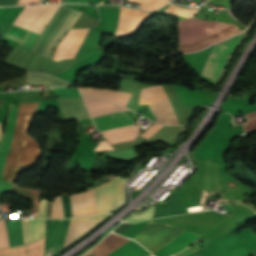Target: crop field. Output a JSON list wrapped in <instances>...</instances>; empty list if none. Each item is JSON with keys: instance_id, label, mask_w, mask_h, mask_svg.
Listing matches in <instances>:
<instances>
[{"instance_id": "obj_1", "label": "crop field", "mask_w": 256, "mask_h": 256, "mask_svg": "<svg viewBox=\"0 0 256 256\" xmlns=\"http://www.w3.org/2000/svg\"><path fill=\"white\" fill-rule=\"evenodd\" d=\"M37 105L38 103H21L19 106L14 138L2 181L14 183L22 171L34 166L41 157L38 144L26 134L28 122Z\"/></svg>"}, {"instance_id": "obj_2", "label": "crop field", "mask_w": 256, "mask_h": 256, "mask_svg": "<svg viewBox=\"0 0 256 256\" xmlns=\"http://www.w3.org/2000/svg\"><path fill=\"white\" fill-rule=\"evenodd\" d=\"M92 118L120 111H128L127 109L106 101L93 99L82 96ZM99 131L132 125L134 124L130 116L125 112L115 113L93 119ZM139 133V127L134 125L102 131L103 137L112 145L119 142L134 140Z\"/></svg>"}, {"instance_id": "obj_3", "label": "crop field", "mask_w": 256, "mask_h": 256, "mask_svg": "<svg viewBox=\"0 0 256 256\" xmlns=\"http://www.w3.org/2000/svg\"><path fill=\"white\" fill-rule=\"evenodd\" d=\"M70 11L71 9H68L63 6L60 7V9L56 12V14L52 17V19L48 22V24L45 26V28L41 32L32 51L40 55L42 54L44 46L52 37V35L55 33V31L58 29V27L61 25V23L64 21V19L67 17V15L70 13ZM78 14L79 12L72 10V12L63 22V24L60 26V28L57 30V32L54 34V36L50 39V41L45 46L44 52L42 54L43 56L49 59L51 58V52L53 47L64 36V34L72 25V23L76 20ZM93 19L94 18L81 12L77 20L71 26V28L90 27Z\"/></svg>"}, {"instance_id": "obj_4", "label": "crop field", "mask_w": 256, "mask_h": 256, "mask_svg": "<svg viewBox=\"0 0 256 256\" xmlns=\"http://www.w3.org/2000/svg\"><path fill=\"white\" fill-rule=\"evenodd\" d=\"M61 5L27 6L14 21V25L31 31L23 46L32 49L38 35Z\"/></svg>"}, {"instance_id": "obj_5", "label": "crop field", "mask_w": 256, "mask_h": 256, "mask_svg": "<svg viewBox=\"0 0 256 256\" xmlns=\"http://www.w3.org/2000/svg\"><path fill=\"white\" fill-rule=\"evenodd\" d=\"M246 33L247 32H244L240 35L229 38L222 43L216 44L200 75L216 84L221 77L232 52Z\"/></svg>"}, {"instance_id": "obj_6", "label": "crop field", "mask_w": 256, "mask_h": 256, "mask_svg": "<svg viewBox=\"0 0 256 256\" xmlns=\"http://www.w3.org/2000/svg\"><path fill=\"white\" fill-rule=\"evenodd\" d=\"M183 231L184 229L150 221L133 239L141 243L153 254Z\"/></svg>"}, {"instance_id": "obj_7", "label": "crop field", "mask_w": 256, "mask_h": 256, "mask_svg": "<svg viewBox=\"0 0 256 256\" xmlns=\"http://www.w3.org/2000/svg\"><path fill=\"white\" fill-rule=\"evenodd\" d=\"M158 102H170L163 86L149 87L141 90L140 104ZM149 106L155 121L161 124H177L170 103L151 104Z\"/></svg>"}, {"instance_id": "obj_8", "label": "crop field", "mask_w": 256, "mask_h": 256, "mask_svg": "<svg viewBox=\"0 0 256 256\" xmlns=\"http://www.w3.org/2000/svg\"><path fill=\"white\" fill-rule=\"evenodd\" d=\"M125 178L116 176L108 183L94 188L96 214L109 213L124 202L123 184Z\"/></svg>"}, {"instance_id": "obj_9", "label": "crop field", "mask_w": 256, "mask_h": 256, "mask_svg": "<svg viewBox=\"0 0 256 256\" xmlns=\"http://www.w3.org/2000/svg\"><path fill=\"white\" fill-rule=\"evenodd\" d=\"M69 220H46L45 256H53L63 249Z\"/></svg>"}, {"instance_id": "obj_10", "label": "crop field", "mask_w": 256, "mask_h": 256, "mask_svg": "<svg viewBox=\"0 0 256 256\" xmlns=\"http://www.w3.org/2000/svg\"><path fill=\"white\" fill-rule=\"evenodd\" d=\"M90 29L69 30L63 40L57 45L53 60L75 58Z\"/></svg>"}, {"instance_id": "obj_11", "label": "crop field", "mask_w": 256, "mask_h": 256, "mask_svg": "<svg viewBox=\"0 0 256 256\" xmlns=\"http://www.w3.org/2000/svg\"><path fill=\"white\" fill-rule=\"evenodd\" d=\"M201 238H202V236H199L193 232L186 230L153 255H155V256H174V255L182 252L183 250L187 249L194 242L200 240Z\"/></svg>"}, {"instance_id": "obj_12", "label": "crop field", "mask_w": 256, "mask_h": 256, "mask_svg": "<svg viewBox=\"0 0 256 256\" xmlns=\"http://www.w3.org/2000/svg\"><path fill=\"white\" fill-rule=\"evenodd\" d=\"M149 13L121 7L115 35H129Z\"/></svg>"}, {"instance_id": "obj_13", "label": "crop field", "mask_w": 256, "mask_h": 256, "mask_svg": "<svg viewBox=\"0 0 256 256\" xmlns=\"http://www.w3.org/2000/svg\"><path fill=\"white\" fill-rule=\"evenodd\" d=\"M70 200L72 217L95 215L94 190L71 195Z\"/></svg>"}, {"instance_id": "obj_14", "label": "crop field", "mask_w": 256, "mask_h": 256, "mask_svg": "<svg viewBox=\"0 0 256 256\" xmlns=\"http://www.w3.org/2000/svg\"><path fill=\"white\" fill-rule=\"evenodd\" d=\"M107 216L108 215H99L91 218L71 219L64 247L88 232Z\"/></svg>"}, {"instance_id": "obj_15", "label": "crop field", "mask_w": 256, "mask_h": 256, "mask_svg": "<svg viewBox=\"0 0 256 256\" xmlns=\"http://www.w3.org/2000/svg\"><path fill=\"white\" fill-rule=\"evenodd\" d=\"M17 110H18V107L14 106L12 104L10 105V110H9V115H8V124L5 129V133L2 138L1 145H0V184H1V179H2L4 160L9 151L12 137H13Z\"/></svg>"}, {"instance_id": "obj_16", "label": "crop field", "mask_w": 256, "mask_h": 256, "mask_svg": "<svg viewBox=\"0 0 256 256\" xmlns=\"http://www.w3.org/2000/svg\"><path fill=\"white\" fill-rule=\"evenodd\" d=\"M79 89L82 94H87L97 98L113 101L123 106H126L131 96L130 93H125V92H120V91H115L110 89L87 88V87H81Z\"/></svg>"}, {"instance_id": "obj_17", "label": "crop field", "mask_w": 256, "mask_h": 256, "mask_svg": "<svg viewBox=\"0 0 256 256\" xmlns=\"http://www.w3.org/2000/svg\"><path fill=\"white\" fill-rule=\"evenodd\" d=\"M45 236L32 244L0 249V256H44Z\"/></svg>"}, {"instance_id": "obj_18", "label": "crop field", "mask_w": 256, "mask_h": 256, "mask_svg": "<svg viewBox=\"0 0 256 256\" xmlns=\"http://www.w3.org/2000/svg\"><path fill=\"white\" fill-rule=\"evenodd\" d=\"M24 244L34 242L45 235V220H22Z\"/></svg>"}, {"instance_id": "obj_19", "label": "crop field", "mask_w": 256, "mask_h": 256, "mask_svg": "<svg viewBox=\"0 0 256 256\" xmlns=\"http://www.w3.org/2000/svg\"><path fill=\"white\" fill-rule=\"evenodd\" d=\"M128 240L129 239L125 237L110 233L108 237H106L101 243L91 250L95 256H106L108 253L117 249Z\"/></svg>"}, {"instance_id": "obj_20", "label": "crop field", "mask_w": 256, "mask_h": 256, "mask_svg": "<svg viewBox=\"0 0 256 256\" xmlns=\"http://www.w3.org/2000/svg\"><path fill=\"white\" fill-rule=\"evenodd\" d=\"M151 255L136 242L130 240L124 246L110 253L108 256H148Z\"/></svg>"}, {"instance_id": "obj_21", "label": "crop field", "mask_w": 256, "mask_h": 256, "mask_svg": "<svg viewBox=\"0 0 256 256\" xmlns=\"http://www.w3.org/2000/svg\"><path fill=\"white\" fill-rule=\"evenodd\" d=\"M39 192L40 191L21 189L14 184L9 193H16L17 196L32 201L31 210H37L39 205Z\"/></svg>"}, {"instance_id": "obj_22", "label": "crop field", "mask_w": 256, "mask_h": 256, "mask_svg": "<svg viewBox=\"0 0 256 256\" xmlns=\"http://www.w3.org/2000/svg\"><path fill=\"white\" fill-rule=\"evenodd\" d=\"M130 2L141 4L140 8L145 10L158 9L168 0H127Z\"/></svg>"}, {"instance_id": "obj_23", "label": "crop field", "mask_w": 256, "mask_h": 256, "mask_svg": "<svg viewBox=\"0 0 256 256\" xmlns=\"http://www.w3.org/2000/svg\"><path fill=\"white\" fill-rule=\"evenodd\" d=\"M198 9L182 8L174 5H170L166 8L165 12L183 16L185 18L191 17L196 14Z\"/></svg>"}, {"instance_id": "obj_24", "label": "crop field", "mask_w": 256, "mask_h": 256, "mask_svg": "<svg viewBox=\"0 0 256 256\" xmlns=\"http://www.w3.org/2000/svg\"><path fill=\"white\" fill-rule=\"evenodd\" d=\"M51 90H53L61 98H64V97L81 98L77 89H75V88H54V89H51Z\"/></svg>"}, {"instance_id": "obj_25", "label": "crop field", "mask_w": 256, "mask_h": 256, "mask_svg": "<svg viewBox=\"0 0 256 256\" xmlns=\"http://www.w3.org/2000/svg\"><path fill=\"white\" fill-rule=\"evenodd\" d=\"M51 218H64L61 196L53 199V209Z\"/></svg>"}, {"instance_id": "obj_26", "label": "crop field", "mask_w": 256, "mask_h": 256, "mask_svg": "<svg viewBox=\"0 0 256 256\" xmlns=\"http://www.w3.org/2000/svg\"><path fill=\"white\" fill-rule=\"evenodd\" d=\"M245 115L248 121L244 125V131L247 132L256 129V111L246 113Z\"/></svg>"}, {"instance_id": "obj_27", "label": "crop field", "mask_w": 256, "mask_h": 256, "mask_svg": "<svg viewBox=\"0 0 256 256\" xmlns=\"http://www.w3.org/2000/svg\"><path fill=\"white\" fill-rule=\"evenodd\" d=\"M0 246L9 247L5 221H0Z\"/></svg>"}, {"instance_id": "obj_28", "label": "crop field", "mask_w": 256, "mask_h": 256, "mask_svg": "<svg viewBox=\"0 0 256 256\" xmlns=\"http://www.w3.org/2000/svg\"><path fill=\"white\" fill-rule=\"evenodd\" d=\"M153 209H154V207L147 210L146 212H144L141 215H133L127 221L128 222H138V221H142V220H145V219H150L152 217Z\"/></svg>"}, {"instance_id": "obj_29", "label": "crop field", "mask_w": 256, "mask_h": 256, "mask_svg": "<svg viewBox=\"0 0 256 256\" xmlns=\"http://www.w3.org/2000/svg\"><path fill=\"white\" fill-rule=\"evenodd\" d=\"M25 75L21 76V77H18V78H15V79H11V80H8V81H5L3 83H0V86H7V85H19V84H24L25 82Z\"/></svg>"}, {"instance_id": "obj_30", "label": "crop field", "mask_w": 256, "mask_h": 256, "mask_svg": "<svg viewBox=\"0 0 256 256\" xmlns=\"http://www.w3.org/2000/svg\"><path fill=\"white\" fill-rule=\"evenodd\" d=\"M162 126L154 124L152 125L148 130H146L144 132V134H142L141 136L145 137V138H149L151 137L154 133H156Z\"/></svg>"}, {"instance_id": "obj_31", "label": "crop field", "mask_w": 256, "mask_h": 256, "mask_svg": "<svg viewBox=\"0 0 256 256\" xmlns=\"http://www.w3.org/2000/svg\"><path fill=\"white\" fill-rule=\"evenodd\" d=\"M63 204H64L65 218L71 217L69 196H63Z\"/></svg>"}, {"instance_id": "obj_32", "label": "crop field", "mask_w": 256, "mask_h": 256, "mask_svg": "<svg viewBox=\"0 0 256 256\" xmlns=\"http://www.w3.org/2000/svg\"><path fill=\"white\" fill-rule=\"evenodd\" d=\"M46 206H47V199L42 200V202L40 203V208L38 210V214L36 218H45Z\"/></svg>"}, {"instance_id": "obj_33", "label": "crop field", "mask_w": 256, "mask_h": 256, "mask_svg": "<svg viewBox=\"0 0 256 256\" xmlns=\"http://www.w3.org/2000/svg\"><path fill=\"white\" fill-rule=\"evenodd\" d=\"M132 224L123 223L118 226L113 232L121 235L124 231H126Z\"/></svg>"}, {"instance_id": "obj_34", "label": "crop field", "mask_w": 256, "mask_h": 256, "mask_svg": "<svg viewBox=\"0 0 256 256\" xmlns=\"http://www.w3.org/2000/svg\"><path fill=\"white\" fill-rule=\"evenodd\" d=\"M113 149L108 142L99 143V145L95 148L94 151H100V150H110Z\"/></svg>"}, {"instance_id": "obj_35", "label": "crop field", "mask_w": 256, "mask_h": 256, "mask_svg": "<svg viewBox=\"0 0 256 256\" xmlns=\"http://www.w3.org/2000/svg\"><path fill=\"white\" fill-rule=\"evenodd\" d=\"M40 0H19L17 5L37 4Z\"/></svg>"}, {"instance_id": "obj_36", "label": "crop field", "mask_w": 256, "mask_h": 256, "mask_svg": "<svg viewBox=\"0 0 256 256\" xmlns=\"http://www.w3.org/2000/svg\"><path fill=\"white\" fill-rule=\"evenodd\" d=\"M50 210H51V202L48 201L47 217L46 218H50Z\"/></svg>"}, {"instance_id": "obj_37", "label": "crop field", "mask_w": 256, "mask_h": 256, "mask_svg": "<svg viewBox=\"0 0 256 256\" xmlns=\"http://www.w3.org/2000/svg\"><path fill=\"white\" fill-rule=\"evenodd\" d=\"M92 254V252L91 251H89L88 253H86L84 256H88V255H91Z\"/></svg>"}, {"instance_id": "obj_38", "label": "crop field", "mask_w": 256, "mask_h": 256, "mask_svg": "<svg viewBox=\"0 0 256 256\" xmlns=\"http://www.w3.org/2000/svg\"><path fill=\"white\" fill-rule=\"evenodd\" d=\"M3 101H4V100L0 99V107H1V104H2Z\"/></svg>"}, {"instance_id": "obj_39", "label": "crop field", "mask_w": 256, "mask_h": 256, "mask_svg": "<svg viewBox=\"0 0 256 256\" xmlns=\"http://www.w3.org/2000/svg\"><path fill=\"white\" fill-rule=\"evenodd\" d=\"M0 137H1V130H0Z\"/></svg>"}, {"instance_id": "obj_40", "label": "crop field", "mask_w": 256, "mask_h": 256, "mask_svg": "<svg viewBox=\"0 0 256 256\" xmlns=\"http://www.w3.org/2000/svg\"><path fill=\"white\" fill-rule=\"evenodd\" d=\"M151 256H153V255H151Z\"/></svg>"}, {"instance_id": "obj_41", "label": "crop field", "mask_w": 256, "mask_h": 256, "mask_svg": "<svg viewBox=\"0 0 256 256\" xmlns=\"http://www.w3.org/2000/svg\"><path fill=\"white\" fill-rule=\"evenodd\" d=\"M93 256V255H92Z\"/></svg>"}]
</instances>
